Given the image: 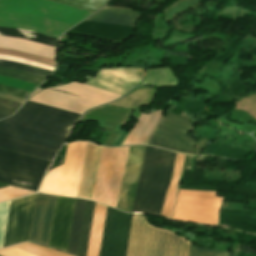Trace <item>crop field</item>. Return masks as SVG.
Returning a JSON list of instances; mask_svg holds the SVG:
<instances>
[{"label":"crop field","mask_w":256,"mask_h":256,"mask_svg":"<svg viewBox=\"0 0 256 256\" xmlns=\"http://www.w3.org/2000/svg\"><path fill=\"white\" fill-rule=\"evenodd\" d=\"M79 117L27 101L0 121V147L52 160Z\"/></svg>","instance_id":"8a807250"},{"label":"crop field","mask_w":256,"mask_h":256,"mask_svg":"<svg viewBox=\"0 0 256 256\" xmlns=\"http://www.w3.org/2000/svg\"><path fill=\"white\" fill-rule=\"evenodd\" d=\"M175 155L147 146L131 213L161 216Z\"/></svg>","instance_id":"ac0d7876"},{"label":"crop field","mask_w":256,"mask_h":256,"mask_svg":"<svg viewBox=\"0 0 256 256\" xmlns=\"http://www.w3.org/2000/svg\"><path fill=\"white\" fill-rule=\"evenodd\" d=\"M188 241L133 216L126 256H186Z\"/></svg>","instance_id":"34b2d1b8"},{"label":"crop field","mask_w":256,"mask_h":256,"mask_svg":"<svg viewBox=\"0 0 256 256\" xmlns=\"http://www.w3.org/2000/svg\"><path fill=\"white\" fill-rule=\"evenodd\" d=\"M52 89L79 95L81 97L58 92ZM52 89H44L28 101L82 114L90 108L110 102L120 96L76 82Z\"/></svg>","instance_id":"412701ff"},{"label":"crop field","mask_w":256,"mask_h":256,"mask_svg":"<svg viewBox=\"0 0 256 256\" xmlns=\"http://www.w3.org/2000/svg\"><path fill=\"white\" fill-rule=\"evenodd\" d=\"M50 160L0 148V182L36 190Z\"/></svg>","instance_id":"f4fd0767"},{"label":"crop field","mask_w":256,"mask_h":256,"mask_svg":"<svg viewBox=\"0 0 256 256\" xmlns=\"http://www.w3.org/2000/svg\"><path fill=\"white\" fill-rule=\"evenodd\" d=\"M87 144L88 142L67 144L64 165L49 171L39 192L76 197Z\"/></svg>","instance_id":"dd49c442"},{"label":"crop field","mask_w":256,"mask_h":256,"mask_svg":"<svg viewBox=\"0 0 256 256\" xmlns=\"http://www.w3.org/2000/svg\"><path fill=\"white\" fill-rule=\"evenodd\" d=\"M216 192L179 190L171 219L216 226L218 209L223 198Z\"/></svg>","instance_id":"e52e79f7"},{"label":"crop field","mask_w":256,"mask_h":256,"mask_svg":"<svg viewBox=\"0 0 256 256\" xmlns=\"http://www.w3.org/2000/svg\"><path fill=\"white\" fill-rule=\"evenodd\" d=\"M166 112L167 115L161 117L146 144L193 154L197 142L186 132L192 130L195 123L170 111Z\"/></svg>","instance_id":"d8731c3e"},{"label":"crop field","mask_w":256,"mask_h":256,"mask_svg":"<svg viewBox=\"0 0 256 256\" xmlns=\"http://www.w3.org/2000/svg\"><path fill=\"white\" fill-rule=\"evenodd\" d=\"M131 218L107 207L99 256H125Z\"/></svg>","instance_id":"5a996713"},{"label":"crop field","mask_w":256,"mask_h":256,"mask_svg":"<svg viewBox=\"0 0 256 256\" xmlns=\"http://www.w3.org/2000/svg\"><path fill=\"white\" fill-rule=\"evenodd\" d=\"M36 195L11 201L3 247L28 240Z\"/></svg>","instance_id":"3316defc"},{"label":"crop field","mask_w":256,"mask_h":256,"mask_svg":"<svg viewBox=\"0 0 256 256\" xmlns=\"http://www.w3.org/2000/svg\"><path fill=\"white\" fill-rule=\"evenodd\" d=\"M145 71L137 68H117L100 70L95 78L86 76V85L124 95L139 84Z\"/></svg>","instance_id":"28ad6ade"},{"label":"crop field","mask_w":256,"mask_h":256,"mask_svg":"<svg viewBox=\"0 0 256 256\" xmlns=\"http://www.w3.org/2000/svg\"><path fill=\"white\" fill-rule=\"evenodd\" d=\"M145 148L146 146H136L129 149L117 209L129 213L131 211Z\"/></svg>","instance_id":"d1516ede"},{"label":"crop field","mask_w":256,"mask_h":256,"mask_svg":"<svg viewBox=\"0 0 256 256\" xmlns=\"http://www.w3.org/2000/svg\"><path fill=\"white\" fill-rule=\"evenodd\" d=\"M75 199L57 197L49 246L66 252Z\"/></svg>","instance_id":"22f410ed"},{"label":"crop field","mask_w":256,"mask_h":256,"mask_svg":"<svg viewBox=\"0 0 256 256\" xmlns=\"http://www.w3.org/2000/svg\"><path fill=\"white\" fill-rule=\"evenodd\" d=\"M135 28L83 21L65 34L83 38L123 42L134 35Z\"/></svg>","instance_id":"cbeb9de0"},{"label":"crop field","mask_w":256,"mask_h":256,"mask_svg":"<svg viewBox=\"0 0 256 256\" xmlns=\"http://www.w3.org/2000/svg\"><path fill=\"white\" fill-rule=\"evenodd\" d=\"M56 197L38 193L30 241L47 246Z\"/></svg>","instance_id":"5142ce71"},{"label":"crop field","mask_w":256,"mask_h":256,"mask_svg":"<svg viewBox=\"0 0 256 256\" xmlns=\"http://www.w3.org/2000/svg\"><path fill=\"white\" fill-rule=\"evenodd\" d=\"M139 17L137 11L105 7L86 20L135 27Z\"/></svg>","instance_id":"d9b57169"},{"label":"crop field","mask_w":256,"mask_h":256,"mask_svg":"<svg viewBox=\"0 0 256 256\" xmlns=\"http://www.w3.org/2000/svg\"><path fill=\"white\" fill-rule=\"evenodd\" d=\"M163 111L164 110L157 111L148 115L141 113L139 119L132 128L128 138L126 137L127 139L122 146L144 144Z\"/></svg>","instance_id":"733c2abd"},{"label":"crop field","mask_w":256,"mask_h":256,"mask_svg":"<svg viewBox=\"0 0 256 256\" xmlns=\"http://www.w3.org/2000/svg\"><path fill=\"white\" fill-rule=\"evenodd\" d=\"M0 48L18 50L55 60L56 48L22 39L0 37Z\"/></svg>","instance_id":"4a817a6b"},{"label":"crop field","mask_w":256,"mask_h":256,"mask_svg":"<svg viewBox=\"0 0 256 256\" xmlns=\"http://www.w3.org/2000/svg\"><path fill=\"white\" fill-rule=\"evenodd\" d=\"M0 256H71L32 243H21L0 249Z\"/></svg>","instance_id":"bc2a9ffb"},{"label":"crop field","mask_w":256,"mask_h":256,"mask_svg":"<svg viewBox=\"0 0 256 256\" xmlns=\"http://www.w3.org/2000/svg\"><path fill=\"white\" fill-rule=\"evenodd\" d=\"M105 210V206L95 203L87 256H98L99 254Z\"/></svg>","instance_id":"214f88e0"},{"label":"crop field","mask_w":256,"mask_h":256,"mask_svg":"<svg viewBox=\"0 0 256 256\" xmlns=\"http://www.w3.org/2000/svg\"><path fill=\"white\" fill-rule=\"evenodd\" d=\"M131 111L102 106L88 111L83 117L125 124Z\"/></svg>","instance_id":"92a150f3"},{"label":"crop field","mask_w":256,"mask_h":256,"mask_svg":"<svg viewBox=\"0 0 256 256\" xmlns=\"http://www.w3.org/2000/svg\"><path fill=\"white\" fill-rule=\"evenodd\" d=\"M86 201L76 199L68 250L67 252L75 255L77 254L78 242L80 237V231L82 226L83 214Z\"/></svg>","instance_id":"dafd665d"},{"label":"crop field","mask_w":256,"mask_h":256,"mask_svg":"<svg viewBox=\"0 0 256 256\" xmlns=\"http://www.w3.org/2000/svg\"><path fill=\"white\" fill-rule=\"evenodd\" d=\"M184 155L178 154L176 155L175 166L173 170L172 179L170 182V186L167 192L166 201L163 210V217L170 218L172 215L175 199H176V191L179 183L182 162Z\"/></svg>","instance_id":"00972430"},{"label":"crop field","mask_w":256,"mask_h":256,"mask_svg":"<svg viewBox=\"0 0 256 256\" xmlns=\"http://www.w3.org/2000/svg\"><path fill=\"white\" fill-rule=\"evenodd\" d=\"M0 36H8V37H16V38H23L51 46L57 45V38L41 35L38 33L21 30V29H13V28H5L0 27Z\"/></svg>","instance_id":"a9b5d70f"},{"label":"crop field","mask_w":256,"mask_h":256,"mask_svg":"<svg viewBox=\"0 0 256 256\" xmlns=\"http://www.w3.org/2000/svg\"><path fill=\"white\" fill-rule=\"evenodd\" d=\"M93 206L94 203L87 201L77 256H86Z\"/></svg>","instance_id":"4177f3b9"},{"label":"crop field","mask_w":256,"mask_h":256,"mask_svg":"<svg viewBox=\"0 0 256 256\" xmlns=\"http://www.w3.org/2000/svg\"><path fill=\"white\" fill-rule=\"evenodd\" d=\"M70 6L82 8L89 11H97L104 6L108 0H52Z\"/></svg>","instance_id":"730fd06b"},{"label":"crop field","mask_w":256,"mask_h":256,"mask_svg":"<svg viewBox=\"0 0 256 256\" xmlns=\"http://www.w3.org/2000/svg\"><path fill=\"white\" fill-rule=\"evenodd\" d=\"M0 75L10 76V77L17 78V79L27 81L33 84H37V85H39L42 81L46 79L45 77H41V76H37V75H33V74L21 72V71L9 69V68H4V67H0Z\"/></svg>","instance_id":"eef30255"},{"label":"crop field","mask_w":256,"mask_h":256,"mask_svg":"<svg viewBox=\"0 0 256 256\" xmlns=\"http://www.w3.org/2000/svg\"><path fill=\"white\" fill-rule=\"evenodd\" d=\"M0 66L10 67V68H14V69H18V70L46 76V77H48L52 73V71L20 64L12 61H7V60H0Z\"/></svg>","instance_id":"ae1a2a85"},{"label":"crop field","mask_w":256,"mask_h":256,"mask_svg":"<svg viewBox=\"0 0 256 256\" xmlns=\"http://www.w3.org/2000/svg\"><path fill=\"white\" fill-rule=\"evenodd\" d=\"M30 193H34V192H30V191L19 189L12 186L5 187L0 189V201L8 200L11 198L19 197V196L30 194Z\"/></svg>","instance_id":"d3111659"},{"label":"crop field","mask_w":256,"mask_h":256,"mask_svg":"<svg viewBox=\"0 0 256 256\" xmlns=\"http://www.w3.org/2000/svg\"><path fill=\"white\" fill-rule=\"evenodd\" d=\"M187 256H229L227 252L199 249L189 243Z\"/></svg>","instance_id":"750c4746"},{"label":"crop field","mask_w":256,"mask_h":256,"mask_svg":"<svg viewBox=\"0 0 256 256\" xmlns=\"http://www.w3.org/2000/svg\"><path fill=\"white\" fill-rule=\"evenodd\" d=\"M0 92L10 94L13 96H17V97H21V98H25V99L30 94V92H26V91L14 89V88L2 86V85H0Z\"/></svg>","instance_id":"bd1437ed"},{"label":"crop field","mask_w":256,"mask_h":256,"mask_svg":"<svg viewBox=\"0 0 256 256\" xmlns=\"http://www.w3.org/2000/svg\"><path fill=\"white\" fill-rule=\"evenodd\" d=\"M20 105V103L0 99V110L14 113Z\"/></svg>","instance_id":"1d83c4d3"},{"label":"crop field","mask_w":256,"mask_h":256,"mask_svg":"<svg viewBox=\"0 0 256 256\" xmlns=\"http://www.w3.org/2000/svg\"><path fill=\"white\" fill-rule=\"evenodd\" d=\"M0 59L12 60V61H16V62H20V63H24V64H28V65H32V66H36V67H40V68H44V69H48V70H52V71H54V69H55L54 67H50V66H46V65L26 61V60H22V59H18V58H14V57H9V56H1L0 55Z\"/></svg>","instance_id":"120bbe31"},{"label":"crop field","mask_w":256,"mask_h":256,"mask_svg":"<svg viewBox=\"0 0 256 256\" xmlns=\"http://www.w3.org/2000/svg\"><path fill=\"white\" fill-rule=\"evenodd\" d=\"M0 97L5 98V99H9V100H13V101H17V102H21V103H23L25 101L24 99L16 98V97L9 96V95L2 94V93H0Z\"/></svg>","instance_id":"d32e631a"},{"label":"crop field","mask_w":256,"mask_h":256,"mask_svg":"<svg viewBox=\"0 0 256 256\" xmlns=\"http://www.w3.org/2000/svg\"><path fill=\"white\" fill-rule=\"evenodd\" d=\"M187 158H188V156L185 155V157H184V163H183V168H182L181 179H183V177H184L185 168H186V163H187Z\"/></svg>","instance_id":"5866460e"},{"label":"crop field","mask_w":256,"mask_h":256,"mask_svg":"<svg viewBox=\"0 0 256 256\" xmlns=\"http://www.w3.org/2000/svg\"><path fill=\"white\" fill-rule=\"evenodd\" d=\"M11 113L0 111V119L10 116Z\"/></svg>","instance_id":"028f5c9d"},{"label":"crop field","mask_w":256,"mask_h":256,"mask_svg":"<svg viewBox=\"0 0 256 256\" xmlns=\"http://www.w3.org/2000/svg\"><path fill=\"white\" fill-rule=\"evenodd\" d=\"M41 89H42V88L39 87V88H38L37 90H35L31 95H33L35 92H37V91H39V90H41ZM31 95H30V96H31Z\"/></svg>","instance_id":"e1f06a70"},{"label":"crop field","mask_w":256,"mask_h":256,"mask_svg":"<svg viewBox=\"0 0 256 256\" xmlns=\"http://www.w3.org/2000/svg\"><path fill=\"white\" fill-rule=\"evenodd\" d=\"M5 186H8V185L0 184V188L5 187Z\"/></svg>","instance_id":"0bd39190"},{"label":"crop field","mask_w":256,"mask_h":256,"mask_svg":"<svg viewBox=\"0 0 256 256\" xmlns=\"http://www.w3.org/2000/svg\"><path fill=\"white\" fill-rule=\"evenodd\" d=\"M146 1H148V0H146Z\"/></svg>","instance_id":"b80d0937"}]
</instances>
